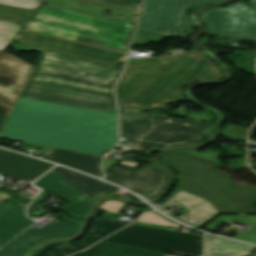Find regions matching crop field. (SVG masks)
I'll list each match as a JSON object with an SVG mask.
<instances>
[{
	"label": "crop field",
	"mask_w": 256,
	"mask_h": 256,
	"mask_svg": "<svg viewBox=\"0 0 256 256\" xmlns=\"http://www.w3.org/2000/svg\"><path fill=\"white\" fill-rule=\"evenodd\" d=\"M0 138L99 154L117 143L116 115L19 97Z\"/></svg>",
	"instance_id": "crop-field-1"
},
{
	"label": "crop field",
	"mask_w": 256,
	"mask_h": 256,
	"mask_svg": "<svg viewBox=\"0 0 256 256\" xmlns=\"http://www.w3.org/2000/svg\"><path fill=\"white\" fill-rule=\"evenodd\" d=\"M10 46L21 51L42 50ZM42 51L22 97L116 114L112 88L122 67Z\"/></svg>",
	"instance_id": "crop-field-2"
},
{
	"label": "crop field",
	"mask_w": 256,
	"mask_h": 256,
	"mask_svg": "<svg viewBox=\"0 0 256 256\" xmlns=\"http://www.w3.org/2000/svg\"><path fill=\"white\" fill-rule=\"evenodd\" d=\"M226 72L197 50L130 63L116 87L119 107L161 108L181 98L180 90L197 80H216Z\"/></svg>",
	"instance_id": "crop-field-3"
},
{
	"label": "crop field",
	"mask_w": 256,
	"mask_h": 256,
	"mask_svg": "<svg viewBox=\"0 0 256 256\" xmlns=\"http://www.w3.org/2000/svg\"><path fill=\"white\" fill-rule=\"evenodd\" d=\"M134 25L39 4L22 29L127 52Z\"/></svg>",
	"instance_id": "crop-field-4"
},
{
	"label": "crop field",
	"mask_w": 256,
	"mask_h": 256,
	"mask_svg": "<svg viewBox=\"0 0 256 256\" xmlns=\"http://www.w3.org/2000/svg\"><path fill=\"white\" fill-rule=\"evenodd\" d=\"M162 162L180 172L178 188L208 200L219 213H256V187L231 180L219 163L183 151L165 155Z\"/></svg>",
	"instance_id": "crop-field-5"
},
{
	"label": "crop field",
	"mask_w": 256,
	"mask_h": 256,
	"mask_svg": "<svg viewBox=\"0 0 256 256\" xmlns=\"http://www.w3.org/2000/svg\"><path fill=\"white\" fill-rule=\"evenodd\" d=\"M212 124L157 115L139 124H120V135L129 139L123 144L149 148L203 143L201 131Z\"/></svg>",
	"instance_id": "crop-field-6"
},
{
	"label": "crop field",
	"mask_w": 256,
	"mask_h": 256,
	"mask_svg": "<svg viewBox=\"0 0 256 256\" xmlns=\"http://www.w3.org/2000/svg\"><path fill=\"white\" fill-rule=\"evenodd\" d=\"M105 242L184 256H201L203 248V236L131 224L94 247L72 256H93Z\"/></svg>",
	"instance_id": "crop-field-7"
},
{
	"label": "crop field",
	"mask_w": 256,
	"mask_h": 256,
	"mask_svg": "<svg viewBox=\"0 0 256 256\" xmlns=\"http://www.w3.org/2000/svg\"><path fill=\"white\" fill-rule=\"evenodd\" d=\"M221 0H144L138 31L160 37H175L186 32L183 16L190 7Z\"/></svg>",
	"instance_id": "crop-field-8"
},
{
	"label": "crop field",
	"mask_w": 256,
	"mask_h": 256,
	"mask_svg": "<svg viewBox=\"0 0 256 256\" xmlns=\"http://www.w3.org/2000/svg\"><path fill=\"white\" fill-rule=\"evenodd\" d=\"M210 35L229 34L231 38L256 40V9L240 1L225 8L200 14Z\"/></svg>",
	"instance_id": "crop-field-9"
},
{
	"label": "crop field",
	"mask_w": 256,
	"mask_h": 256,
	"mask_svg": "<svg viewBox=\"0 0 256 256\" xmlns=\"http://www.w3.org/2000/svg\"><path fill=\"white\" fill-rule=\"evenodd\" d=\"M34 66L0 52V132Z\"/></svg>",
	"instance_id": "crop-field-10"
},
{
	"label": "crop field",
	"mask_w": 256,
	"mask_h": 256,
	"mask_svg": "<svg viewBox=\"0 0 256 256\" xmlns=\"http://www.w3.org/2000/svg\"><path fill=\"white\" fill-rule=\"evenodd\" d=\"M12 42L112 65H115L119 62H125L126 59V55L124 54L74 44L22 31H19Z\"/></svg>",
	"instance_id": "crop-field-11"
},
{
	"label": "crop field",
	"mask_w": 256,
	"mask_h": 256,
	"mask_svg": "<svg viewBox=\"0 0 256 256\" xmlns=\"http://www.w3.org/2000/svg\"><path fill=\"white\" fill-rule=\"evenodd\" d=\"M105 179L139 191L150 198H154L162 192L167 181V174L160 169L148 165H142L138 169L116 167Z\"/></svg>",
	"instance_id": "crop-field-12"
},
{
	"label": "crop field",
	"mask_w": 256,
	"mask_h": 256,
	"mask_svg": "<svg viewBox=\"0 0 256 256\" xmlns=\"http://www.w3.org/2000/svg\"><path fill=\"white\" fill-rule=\"evenodd\" d=\"M80 222H53L41 229L32 227L0 249V256H22L40 240L51 237H68L76 234Z\"/></svg>",
	"instance_id": "crop-field-13"
},
{
	"label": "crop field",
	"mask_w": 256,
	"mask_h": 256,
	"mask_svg": "<svg viewBox=\"0 0 256 256\" xmlns=\"http://www.w3.org/2000/svg\"><path fill=\"white\" fill-rule=\"evenodd\" d=\"M39 1L0 0V51L6 48Z\"/></svg>",
	"instance_id": "crop-field-14"
},
{
	"label": "crop field",
	"mask_w": 256,
	"mask_h": 256,
	"mask_svg": "<svg viewBox=\"0 0 256 256\" xmlns=\"http://www.w3.org/2000/svg\"><path fill=\"white\" fill-rule=\"evenodd\" d=\"M54 165L0 149V175L31 182Z\"/></svg>",
	"instance_id": "crop-field-15"
},
{
	"label": "crop field",
	"mask_w": 256,
	"mask_h": 256,
	"mask_svg": "<svg viewBox=\"0 0 256 256\" xmlns=\"http://www.w3.org/2000/svg\"><path fill=\"white\" fill-rule=\"evenodd\" d=\"M179 204L188 212L176 218L196 228L219 214L208 201L178 188L171 198L159 205L166 209Z\"/></svg>",
	"instance_id": "crop-field-16"
},
{
	"label": "crop field",
	"mask_w": 256,
	"mask_h": 256,
	"mask_svg": "<svg viewBox=\"0 0 256 256\" xmlns=\"http://www.w3.org/2000/svg\"><path fill=\"white\" fill-rule=\"evenodd\" d=\"M127 225V223L115 222L94 218L92 229L88 235L81 241L75 243H54L43 247L34 256H66L71 253L80 251L89 245L95 243L111 232ZM112 234V233H111Z\"/></svg>",
	"instance_id": "crop-field-17"
},
{
	"label": "crop field",
	"mask_w": 256,
	"mask_h": 256,
	"mask_svg": "<svg viewBox=\"0 0 256 256\" xmlns=\"http://www.w3.org/2000/svg\"><path fill=\"white\" fill-rule=\"evenodd\" d=\"M34 184L69 202V205L61 209L70 216L81 215L87 211L89 203L85 196L83 197L52 170Z\"/></svg>",
	"instance_id": "crop-field-18"
},
{
	"label": "crop field",
	"mask_w": 256,
	"mask_h": 256,
	"mask_svg": "<svg viewBox=\"0 0 256 256\" xmlns=\"http://www.w3.org/2000/svg\"><path fill=\"white\" fill-rule=\"evenodd\" d=\"M20 200L12 199L0 207V247L35 223L25 217L26 205Z\"/></svg>",
	"instance_id": "crop-field-19"
},
{
	"label": "crop field",
	"mask_w": 256,
	"mask_h": 256,
	"mask_svg": "<svg viewBox=\"0 0 256 256\" xmlns=\"http://www.w3.org/2000/svg\"><path fill=\"white\" fill-rule=\"evenodd\" d=\"M102 156L60 148L51 147L44 159L59 162L77 170L94 176H101L102 172L98 163Z\"/></svg>",
	"instance_id": "crop-field-20"
},
{
	"label": "crop field",
	"mask_w": 256,
	"mask_h": 256,
	"mask_svg": "<svg viewBox=\"0 0 256 256\" xmlns=\"http://www.w3.org/2000/svg\"><path fill=\"white\" fill-rule=\"evenodd\" d=\"M52 170L88 200L98 195L112 193L117 189L115 186L66 168L57 166Z\"/></svg>",
	"instance_id": "crop-field-21"
},
{
	"label": "crop field",
	"mask_w": 256,
	"mask_h": 256,
	"mask_svg": "<svg viewBox=\"0 0 256 256\" xmlns=\"http://www.w3.org/2000/svg\"><path fill=\"white\" fill-rule=\"evenodd\" d=\"M256 247L233 242L220 237L206 235L205 256H244L251 254Z\"/></svg>",
	"instance_id": "crop-field-22"
},
{
	"label": "crop field",
	"mask_w": 256,
	"mask_h": 256,
	"mask_svg": "<svg viewBox=\"0 0 256 256\" xmlns=\"http://www.w3.org/2000/svg\"><path fill=\"white\" fill-rule=\"evenodd\" d=\"M235 220L239 221V224H248L251 226L241 233L237 232L234 238L256 243V215H220L202 229L211 232L221 223L230 224Z\"/></svg>",
	"instance_id": "crop-field-23"
},
{
	"label": "crop field",
	"mask_w": 256,
	"mask_h": 256,
	"mask_svg": "<svg viewBox=\"0 0 256 256\" xmlns=\"http://www.w3.org/2000/svg\"><path fill=\"white\" fill-rule=\"evenodd\" d=\"M165 253L105 243L94 256H164Z\"/></svg>",
	"instance_id": "crop-field-24"
},
{
	"label": "crop field",
	"mask_w": 256,
	"mask_h": 256,
	"mask_svg": "<svg viewBox=\"0 0 256 256\" xmlns=\"http://www.w3.org/2000/svg\"><path fill=\"white\" fill-rule=\"evenodd\" d=\"M121 115L120 122H138L153 117L154 115L145 114L139 110L119 109Z\"/></svg>",
	"instance_id": "crop-field-25"
},
{
	"label": "crop field",
	"mask_w": 256,
	"mask_h": 256,
	"mask_svg": "<svg viewBox=\"0 0 256 256\" xmlns=\"http://www.w3.org/2000/svg\"><path fill=\"white\" fill-rule=\"evenodd\" d=\"M249 129L235 126L228 124L221 132V134H224L226 136L230 137H237V138H243L246 139V134Z\"/></svg>",
	"instance_id": "crop-field-26"
},
{
	"label": "crop field",
	"mask_w": 256,
	"mask_h": 256,
	"mask_svg": "<svg viewBox=\"0 0 256 256\" xmlns=\"http://www.w3.org/2000/svg\"><path fill=\"white\" fill-rule=\"evenodd\" d=\"M147 41L160 42L161 38L137 31L132 45L145 43Z\"/></svg>",
	"instance_id": "crop-field-27"
},
{
	"label": "crop field",
	"mask_w": 256,
	"mask_h": 256,
	"mask_svg": "<svg viewBox=\"0 0 256 256\" xmlns=\"http://www.w3.org/2000/svg\"><path fill=\"white\" fill-rule=\"evenodd\" d=\"M104 2L131 7H139L141 0H104Z\"/></svg>",
	"instance_id": "crop-field-28"
},
{
	"label": "crop field",
	"mask_w": 256,
	"mask_h": 256,
	"mask_svg": "<svg viewBox=\"0 0 256 256\" xmlns=\"http://www.w3.org/2000/svg\"><path fill=\"white\" fill-rule=\"evenodd\" d=\"M151 57H152L151 52H138L137 58L129 57L128 62L135 61V60H142V59L151 58Z\"/></svg>",
	"instance_id": "crop-field-29"
},
{
	"label": "crop field",
	"mask_w": 256,
	"mask_h": 256,
	"mask_svg": "<svg viewBox=\"0 0 256 256\" xmlns=\"http://www.w3.org/2000/svg\"><path fill=\"white\" fill-rule=\"evenodd\" d=\"M118 161L116 160H112V159H108V158H105L102 166L105 170V172L110 169L114 164H116Z\"/></svg>",
	"instance_id": "crop-field-30"
},
{
	"label": "crop field",
	"mask_w": 256,
	"mask_h": 256,
	"mask_svg": "<svg viewBox=\"0 0 256 256\" xmlns=\"http://www.w3.org/2000/svg\"><path fill=\"white\" fill-rule=\"evenodd\" d=\"M10 198L11 197L0 191V206Z\"/></svg>",
	"instance_id": "crop-field-31"
},
{
	"label": "crop field",
	"mask_w": 256,
	"mask_h": 256,
	"mask_svg": "<svg viewBox=\"0 0 256 256\" xmlns=\"http://www.w3.org/2000/svg\"><path fill=\"white\" fill-rule=\"evenodd\" d=\"M252 4H254L256 6V0H252L251 2Z\"/></svg>",
	"instance_id": "crop-field-32"
},
{
	"label": "crop field",
	"mask_w": 256,
	"mask_h": 256,
	"mask_svg": "<svg viewBox=\"0 0 256 256\" xmlns=\"http://www.w3.org/2000/svg\"><path fill=\"white\" fill-rule=\"evenodd\" d=\"M96 1H100V2H102L103 0H96Z\"/></svg>",
	"instance_id": "crop-field-33"
},
{
	"label": "crop field",
	"mask_w": 256,
	"mask_h": 256,
	"mask_svg": "<svg viewBox=\"0 0 256 256\" xmlns=\"http://www.w3.org/2000/svg\"><path fill=\"white\" fill-rule=\"evenodd\" d=\"M256 171V169H254Z\"/></svg>",
	"instance_id": "crop-field-34"
},
{
	"label": "crop field",
	"mask_w": 256,
	"mask_h": 256,
	"mask_svg": "<svg viewBox=\"0 0 256 256\" xmlns=\"http://www.w3.org/2000/svg\"><path fill=\"white\" fill-rule=\"evenodd\" d=\"M250 256H252V255H250Z\"/></svg>",
	"instance_id": "crop-field-35"
}]
</instances>
